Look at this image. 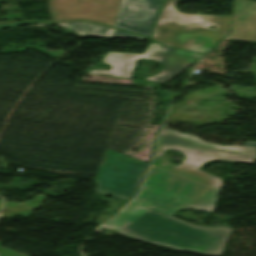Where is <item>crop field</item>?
I'll return each mask as SVG.
<instances>
[{"mask_svg": "<svg viewBox=\"0 0 256 256\" xmlns=\"http://www.w3.org/2000/svg\"><path fill=\"white\" fill-rule=\"evenodd\" d=\"M59 24L68 29L74 30L78 32V35L83 37H91V38H100L107 37L110 35L111 29L110 27L85 23V22H61V23H49V24H41L39 26L45 25H54Z\"/></svg>", "mask_w": 256, "mask_h": 256, "instance_id": "crop-field-9", "label": "crop field"}, {"mask_svg": "<svg viewBox=\"0 0 256 256\" xmlns=\"http://www.w3.org/2000/svg\"><path fill=\"white\" fill-rule=\"evenodd\" d=\"M162 1L122 0L115 26L149 38Z\"/></svg>", "mask_w": 256, "mask_h": 256, "instance_id": "crop-field-7", "label": "crop field"}, {"mask_svg": "<svg viewBox=\"0 0 256 256\" xmlns=\"http://www.w3.org/2000/svg\"><path fill=\"white\" fill-rule=\"evenodd\" d=\"M166 0L152 39L177 48L205 53L229 31L230 16L183 14ZM215 25L216 29H209Z\"/></svg>", "mask_w": 256, "mask_h": 256, "instance_id": "crop-field-3", "label": "crop field"}, {"mask_svg": "<svg viewBox=\"0 0 256 256\" xmlns=\"http://www.w3.org/2000/svg\"><path fill=\"white\" fill-rule=\"evenodd\" d=\"M227 37L256 39V4L235 0L232 30Z\"/></svg>", "mask_w": 256, "mask_h": 256, "instance_id": "crop-field-8", "label": "crop field"}, {"mask_svg": "<svg viewBox=\"0 0 256 256\" xmlns=\"http://www.w3.org/2000/svg\"><path fill=\"white\" fill-rule=\"evenodd\" d=\"M147 163L106 149L99 167L95 192L128 200L141 182Z\"/></svg>", "mask_w": 256, "mask_h": 256, "instance_id": "crop-field-5", "label": "crop field"}, {"mask_svg": "<svg viewBox=\"0 0 256 256\" xmlns=\"http://www.w3.org/2000/svg\"><path fill=\"white\" fill-rule=\"evenodd\" d=\"M245 145L256 146V143L246 142Z\"/></svg>", "mask_w": 256, "mask_h": 256, "instance_id": "crop-field-12", "label": "crop field"}, {"mask_svg": "<svg viewBox=\"0 0 256 256\" xmlns=\"http://www.w3.org/2000/svg\"><path fill=\"white\" fill-rule=\"evenodd\" d=\"M218 193L152 165L136 199L100 227L174 249L221 256L232 227H202L173 217L187 208L213 212Z\"/></svg>", "mask_w": 256, "mask_h": 256, "instance_id": "crop-field-1", "label": "crop field"}, {"mask_svg": "<svg viewBox=\"0 0 256 256\" xmlns=\"http://www.w3.org/2000/svg\"><path fill=\"white\" fill-rule=\"evenodd\" d=\"M165 51L196 58L202 56L201 54L173 49L152 43L147 47L144 54L107 52L102 62L109 63L112 68L109 70L95 69L91 70L90 72L129 78L137 60L140 58H145L160 61L164 66L159 75L150 76L146 79L163 83L167 79L183 71L186 66L196 61L195 59L168 54L165 53Z\"/></svg>", "mask_w": 256, "mask_h": 256, "instance_id": "crop-field-4", "label": "crop field"}, {"mask_svg": "<svg viewBox=\"0 0 256 256\" xmlns=\"http://www.w3.org/2000/svg\"><path fill=\"white\" fill-rule=\"evenodd\" d=\"M113 36L144 39V37H140V36L128 33V32H124V31L118 30L116 28H114Z\"/></svg>", "mask_w": 256, "mask_h": 256, "instance_id": "crop-field-10", "label": "crop field"}, {"mask_svg": "<svg viewBox=\"0 0 256 256\" xmlns=\"http://www.w3.org/2000/svg\"><path fill=\"white\" fill-rule=\"evenodd\" d=\"M49 0L53 20L84 19L113 25L119 0ZM36 22H50L36 20Z\"/></svg>", "mask_w": 256, "mask_h": 256, "instance_id": "crop-field-6", "label": "crop field"}, {"mask_svg": "<svg viewBox=\"0 0 256 256\" xmlns=\"http://www.w3.org/2000/svg\"><path fill=\"white\" fill-rule=\"evenodd\" d=\"M167 148L181 151L186 160L178 167L170 164L162 157ZM255 156L256 147L208 144L195 136L163 128L157 139L153 164L220 190L222 183L219 177L197 170L204 162L223 159L253 164Z\"/></svg>", "mask_w": 256, "mask_h": 256, "instance_id": "crop-field-2", "label": "crop field"}, {"mask_svg": "<svg viewBox=\"0 0 256 256\" xmlns=\"http://www.w3.org/2000/svg\"><path fill=\"white\" fill-rule=\"evenodd\" d=\"M165 92H166V94H167V96H168V98H169L170 101H171L175 96L178 95V93H174V92H170V91H166V90H165Z\"/></svg>", "mask_w": 256, "mask_h": 256, "instance_id": "crop-field-11", "label": "crop field"}]
</instances>
